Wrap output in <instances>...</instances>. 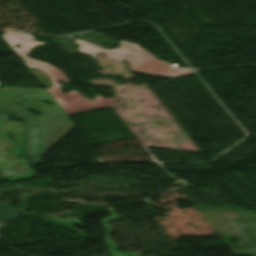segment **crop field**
<instances>
[{
  "label": "crop field",
  "instance_id": "8a807250",
  "mask_svg": "<svg viewBox=\"0 0 256 256\" xmlns=\"http://www.w3.org/2000/svg\"><path fill=\"white\" fill-rule=\"evenodd\" d=\"M2 37L14 49V51L22 57L26 66L47 73V75L52 80V87L48 89V92L67 114L107 108L125 102L117 97L103 99L100 95H98L95 98V100H93L98 101L97 103L93 101H85L84 96L74 91L62 95L61 91L59 90L61 85L57 84V81L62 80L65 83L68 82L63 72L47 63L36 61L26 56V54L30 51L31 48L39 46L43 43L33 41V36L31 35L11 31L5 32V34ZM15 44H21V48L16 49ZM116 101H120L121 103H116Z\"/></svg>",
  "mask_w": 256,
  "mask_h": 256
},
{
  "label": "crop field",
  "instance_id": "ac0d7876",
  "mask_svg": "<svg viewBox=\"0 0 256 256\" xmlns=\"http://www.w3.org/2000/svg\"><path fill=\"white\" fill-rule=\"evenodd\" d=\"M75 43L81 45L79 51L87 55L104 52L113 58L129 61L131 72L168 78L193 74L191 69L173 67L169 63L158 60L150 53L139 48L138 45L125 41H120V48L116 50H105L82 40H76Z\"/></svg>",
  "mask_w": 256,
  "mask_h": 256
},
{
  "label": "crop field",
  "instance_id": "34b2d1b8",
  "mask_svg": "<svg viewBox=\"0 0 256 256\" xmlns=\"http://www.w3.org/2000/svg\"><path fill=\"white\" fill-rule=\"evenodd\" d=\"M11 95H13V94L7 93L6 96L9 97V96H11ZM11 97H12V96H11ZM18 97H20V96H17V95H16L15 98H14V100H12V99H10V98H3V100H7V101H9V102L15 103V105H16V103L20 104V103H19L20 101L16 100V99H21V98H18ZM26 102H27L29 105H27V106H24V105H22V104H20V105H21L22 107H26V108H28V109H31V110H33V111H36V112H38V113H40V114L43 113L45 110H47V109L44 108L45 106H41V105H39V106H41L40 108L32 107L30 104H33V105L37 104L35 101H26ZM37 105H38V104H37ZM13 107H14V105H12V104L0 102V112L4 111V110L6 109L8 112H14V113L18 114V117H19V118H22V121L25 122L26 124L36 123V122H35V119H33V118H28V117L25 115V114H30V113L27 112L25 109H23V108L14 109ZM8 108H11V109L8 110ZM12 109L15 110V111H12Z\"/></svg>",
  "mask_w": 256,
  "mask_h": 256
},
{
  "label": "crop field",
  "instance_id": "412701ff",
  "mask_svg": "<svg viewBox=\"0 0 256 256\" xmlns=\"http://www.w3.org/2000/svg\"><path fill=\"white\" fill-rule=\"evenodd\" d=\"M18 217L13 207L8 202H0V230L4 228L6 222Z\"/></svg>",
  "mask_w": 256,
  "mask_h": 256
},
{
  "label": "crop field",
  "instance_id": "f4fd0767",
  "mask_svg": "<svg viewBox=\"0 0 256 256\" xmlns=\"http://www.w3.org/2000/svg\"><path fill=\"white\" fill-rule=\"evenodd\" d=\"M54 106H55V105H54ZM52 107H53V106H52ZM52 107H51V108H52ZM51 108H50V109H51ZM50 109H49V110H50ZM37 119H38V118H37ZM37 154H38V153H37Z\"/></svg>",
  "mask_w": 256,
  "mask_h": 256
},
{
  "label": "crop field",
  "instance_id": "dd49c442",
  "mask_svg": "<svg viewBox=\"0 0 256 256\" xmlns=\"http://www.w3.org/2000/svg\"><path fill=\"white\" fill-rule=\"evenodd\" d=\"M0 79H2V78H0Z\"/></svg>",
  "mask_w": 256,
  "mask_h": 256
}]
</instances>
